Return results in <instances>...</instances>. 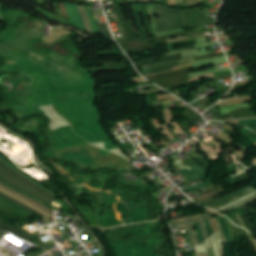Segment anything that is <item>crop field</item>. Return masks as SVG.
Segmentation results:
<instances>
[{
	"instance_id": "obj_17",
	"label": "crop field",
	"mask_w": 256,
	"mask_h": 256,
	"mask_svg": "<svg viewBox=\"0 0 256 256\" xmlns=\"http://www.w3.org/2000/svg\"><path fill=\"white\" fill-rule=\"evenodd\" d=\"M254 200H256V195L252 196L251 198H249V199H247V200H245V201H243V202H241V203H238V204H236V205H234V206H231V207H229V208H227V209H225V210H223V211H224V212H228V211H230V210H232V209H234V208H237V207H239V206H241V205H244V204H246V203H250V202H252V201H254Z\"/></svg>"
},
{
	"instance_id": "obj_31",
	"label": "crop field",
	"mask_w": 256,
	"mask_h": 256,
	"mask_svg": "<svg viewBox=\"0 0 256 256\" xmlns=\"http://www.w3.org/2000/svg\"><path fill=\"white\" fill-rule=\"evenodd\" d=\"M231 73H232L231 71H224V72H218L215 74H216V76H222V75L231 74Z\"/></svg>"
},
{
	"instance_id": "obj_3",
	"label": "crop field",
	"mask_w": 256,
	"mask_h": 256,
	"mask_svg": "<svg viewBox=\"0 0 256 256\" xmlns=\"http://www.w3.org/2000/svg\"><path fill=\"white\" fill-rule=\"evenodd\" d=\"M0 208L13 214L14 216L18 217V218H22L27 220L25 217H32L33 215L27 213L26 211H24L23 209H21L20 207L10 203L9 201L3 199L2 197H0ZM35 217V216H34ZM29 221V220H27ZM30 222V221H29Z\"/></svg>"
},
{
	"instance_id": "obj_24",
	"label": "crop field",
	"mask_w": 256,
	"mask_h": 256,
	"mask_svg": "<svg viewBox=\"0 0 256 256\" xmlns=\"http://www.w3.org/2000/svg\"><path fill=\"white\" fill-rule=\"evenodd\" d=\"M171 70H172V68H168V69L158 70V71L142 72V74H143V75H147V74H154V73L167 72V71H171Z\"/></svg>"
},
{
	"instance_id": "obj_19",
	"label": "crop field",
	"mask_w": 256,
	"mask_h": 256,
	"mask_svg": "<svg viewBox=\"0 0 256 256\" xmlns=\"http://www.w3.org/2000/svg\"><path fill=\"white\" fill-rule=\"evenodd\" d=\"M99 27V31L104 34L105 36L109 37V38H112L111 34H110V31L108 29V26L107 24L105 25H98Z\"/></svg>"
},
{
	"instance_id": "obj_2",
	"label": "crop field",
	"mask_w": 256,
	"mask_h": 256,
	"mask_svg": "<svg viewBox=\"0 0 256 256\" xmlns=\"http://www.w3.org/2000/svg\"><path fill=\"white\" fill-rule=\"evenodd\" d=\"M0 176L7 180L9 183H11L12 185L19 187L23 190H26L32 194H34L35 196L49 202L52 204V199L50 196L46 195L45 193L17 180L15 177H13L10 173H8L6 170H4L2 167H0ZM25 191V192H26Z\"/></svg>"
},
{
	"instance_id": "obj_16",
	"label": "crop field",
	"mask_w": 256,
	"mask_h": 256,
	"mask_svg": "<svg viewBox=\"0 0 256 256\" xmlns=\"http://www.w3.org/2000/svg\"><path fill=\"white\" fill-rule=\"evenodd\" d=\"M84 8H85L86 13H87V15H88V17H89V19H90V21H91L92 28H93V32H94V33H99V32H98V29H97V26H96V22H95V20H94V18H93V16H92V14H91V12H90L88 6H84Z\"/></svg>"
},
{
	"instance_id": "obj_30",
	"label": "crop field",
	"mask_w": 256,
	"mask_h": 256,
	"mask_svg": "<svg viewBox=\"0 0 256 256\" xmlns=\"http://www.w3.org/2000/svg\"><path fill=\"white\" fill-rule=\"evenodd\" d=\"M216 220H217V224H218L219 230H220V232H221L222 238H223V240H224V243L227 244V243H226V240H225V237H224V234H223V231H222V228H221V225H220V223H219V220H218V219H216Z\"/></svg>"
},
{
	"instance_id": "obj_21",
	"label": "crop field",
	"mask_w": 256,
	"mask_h": 256,
	"mask_svg": "<svg viewBox=\"0 0 256 256\" xmlns=\"http://www.w3.org/2000/svg\"><path fill=\"white\" fill-rule=\"evenodd\" d=\"M0 160H2L4 163H6L3 159H1L0 158ZM7 164V163H6ZM8 166H10L9 164H7ZM11 167V166H10ZM12 168V167H11ZM14 171H16L18 174H20V175H22V176H24L22 173H20L18 170H16V169H14V168H12ZM25 178H27L26 176H24ZM28 180H30L29 178H27ZM31 182H33L32 180H30ZM35 185H37L38 187H40L41 189H43L44 191H46L43 187H41L40 185H38V184H36L35 182H33ZM46 192H48V191H46ZM48 193H50V192H48ZM50 194H52V193H50ZM52 195H54V194H52ZM55 196V195H54Z\"/></svg>"
},
{
	"instance_id": "obj_32",
	"label": "crop field",
	"mask_w": 256,
	"mask_h": 256,
	"mask_svg": "<svg viewBox=\"0 0 256 256\" xmlns=\"http://www.w3.org/2000/svg\"><path fill=\"white\" fill-rule=\"evenodd\" d=\"M234 73H240V72H247L249 71L248 68H244V69H238V70H233Z\"/></svg>"
},
{
	"instance_id": "obj_11",
	"label": "crop field",
	"mask_w": 256,
	"mask_h": 256,
	"mask_svg": "<svg viewBox=\"0 0 256 256\" xmlns=\"http://www.w3.org/2000/svg\"><path fill=\"white\" fill-rule=\"evenodd\" d=\"M187 166L191 167L196 172L201 171V173H198V174H200L203 178L206 177L208 172L207 169L204 168L202 165L198 164L197 162L194 161Z\"/></svg>"
},
{
	"instance_id": "obj_6",
	"label": "crop field",
	"mask_w": 256,
	"mask_h": 256,
	"mask_svg": "<svg viewBox=\"0 0 256 256\" xmlns=\"http://www.w3.org/2000/svg\"><path fill=\"white\" fill-rule=\"evenodd\" d=\"M0 196L4 197L5 199L11 201L12 203H14V204H16V205H18V206H20L21 208H23V209H25V210H27V211L33 213L34 215H36L37 217H39V218H41V219L46 218V217L43 216L42 214H40V213H38V212L32 210L31 208H29V207H27V206H25V205H23V204H21V203L15 201V200L11 199V198H9V197H7V196L1 194V193H0Z\"/></svg>"
},
{
	"instance_id": "obj_35",
	"label": "crop field",
	"mask_w": 256,
	"mask_h": 256,
	"mask_svg": "<svg viewBox=\"0 0 256 256\" xmlns=\"http://www.w3.org/2000/svg\"><path fill=\"white\" fill-rule=\"evenodd\" d=\"M252 141H256V139H251Z\"/></svg>"
},
{
	"instance_id": "obj_34",
	"label": "crop field",
	"mask_w": 256,
	"mask_h": 256,
	"mask_svg": "<svg viewBox=\"0 0 256 256\" xmlns=\"http://www.w3.org/2000/svg\"><path fill=\"white\" fill-rule=\"evenodd\" d=\"M208 253H209V256H214L213 255V250L208 251Z\"/></svg>"
},
{
	"instance_id": "obj_8",
	"label": "crop field",
	"mask_w": 256,
	"mask_h": 256,
	"mask_svg": "<svg viewBox=\"0 0 256 256\" xmlns=\"http://www.w3.org/2000/svg\"><path fill=\"white\" fill-rule=\"evenodd\" d=\"M0 192H2V193H4V194H6V195H8V196H10V197H12V198L18 200V201H20V202H22V203H24L25 205H27V206L31 207L32 209H34V210H36V211H38V212H40V213L46 215L47 217L52 216V215H50L49 213H47V212H45V211H43V210H41V209H39V208H37V207H35V206H33V205L27 203V202H25V201H23V200L17 198L16 196H14V195H12V194L6 192V191L3 190L2 188H0Z\"/></svg>"
},
{
	"instance_id": "obj_12",
	"label": "crop field",
	"mask_w": 256,
	"mask_h": 256,
	"mask_svg": "<svg viewBox=\"0 0 256 256\" xmlns=\"http://www.w3.org/2000/svg\"><path fill=\"white\" fill-rule=\"evenodd\" d=\"M37 11L43 13V14L46 15L47 17H49V18H51V19H53V20H55V21H57V22H59V23L68 24V25H70V26H72V27H74V28L80 30V29L77 28L76 26H74V25H72V24H70V23H68V22H66V21H64V20H62V19H60V18H58V17H56V16H54V15H52V14H50V13L44 11V10H42V9H40V8H39ZM80 31H82V30H80Z\"/></svg>"
},
{
	"instance_id": "obj_1",
	"label": "crop field",
	"mask_w": 256,
	"mask_h": 256,
	"mask_svg": "<svg viewBox=\"0 0 256 256\" xmlns=\"http://www.w3.org/2000/svg\"><path fill=\"white\" fill-rule=\"evenodd\" d=\"M154 13L160 15V18L155 19L157 32L178 29L186 26L185 16L179 11L156 6Z\"/></svg>"
},
{
	"instance_id": "obj_25",
	"label": "crop field",
	"mask_w": 256,
	"mask_h": 256,
	"mask_svg": "<svg viewBox=\"0 0 256 256\" xmlns=\"http://www.w3.org/2000/svg\"><path fill=\"white\" fill-rule=\"evenodd\" d=\"M0 157L3 158L7 163H9L12 167L16 168L14 165H12L10 162H8L1 154H0ZM18 169V168H16ZM19 170V169H18ZM21 171V170H19ZM22 172V171H21ZM24 173V172H22ZM25 174V173H24ZM26 176H28L27 174H25ZM30 179H32L30 176H28ZM33 181H35L36 183L40 184L41 186H43L41 183L37 182L36 180L32 179ZM44 187V186H43ZM45 188V187H44ZM46 189V188H45ZM48 190V189H47ZM49 191V190H48ZM51 192V191H50Z\"/></svg>"
},
{
	"instance_id": "obj_9",
	"label": "crop field",
	"mask_w": 256,
	"mask_h": 256,
	"mask_svg": "<svg viewBox=\"0 0 256 256\" xmlns=\"http://www.w3.org/2000/svg\"><path fill=\"white\" fill-rule=\"evenodd\" d=\"M76 6H77V8H78V10L80 12V15H81L83 21H84V25H85L86 31L92 32L90 21H89L87 15L85 13V10H84L83 6H79V5H76Z\"/></svg>"
},
{
	"instance_id": "obj_5",
	"label": "crop field",
	"mask_w": 256,
	"mask_h": 256,
	"mask_svg": "<svg viewBox=\"0 0 256 256\" xmlns=\"http://www.w3.org/2000/svg\"><path fill=\"white\" fill-rule=\"evenodd\" d=\"M68 12L69 20L79 28L85 31L83 21L75 5L64 3Z\"/></svg>"
},
{
	"instance_id": "obj_29",
	"label": "crop field",
	"mask_w": 256,
	"mask_h": 256,
	"mask_svg": "<svg viewBox=\"0 0 256 256\" xmlns=\"http://www.w3.org/2000/svg\"><path fill=\"white\" fill-rule=\"evenodd\" d=\"M200 226H201V229H202V233H203V236L204 238L207 237V232H206V229H205V225H204V222H200Z\"/></svg>"
},
{
	"instance_id": "obj_23",
	"label": "crop field",
	"mask_w": 256,
	"mask_h": 256,
	"mask_svg": "<svg viewBox=\"0 0 256 256\" xmlns=\"http://www.w3.org/2000/svg\"><path fill=\"white\" fill-rule=\"evenodd\" d=\"M195 227H196V231H197V234L199 236V241H200V245L202 244V242L204 241L203 237H202V234H201V231H200V227H199V224L198 222L195 223Z\"/></svg>"
},
{
	"instance_id": "obj_4",
	"label": "crop field",
	"mask_w": 256,
	"mask_h": 256,
	"mask_svg": "<svg viewBox=\"0 0 256 256\" xmlns=\"http://www.w3.org/2000/svg\"><path fill=\"white\" fill-rule=\"evenodd\" d=\"M211 218H214V217L212 215H210V216H206V217H202V218H198V219H194V220L174 224L172 226H173L174 230L189 227L190 234H191L192 240H193V244L197 245L199 243H198V239H197V235H196V232H195V229H194L193 222L206 220V219H211Z\"/></svg>"
},
{
	"instance_id": "obj_20",
	"label": "crop field",
	"mask_w": 256,
	"mask_h": 256,
	"mask_svg": "<svg viewBox=\"0 0 256 256\" xmlns=\"http://www.w3.org/2000/svg\"><path fill=\"white\" fill-rule=\"evenodd\" d=\"M213 180L210 181V182H207V183H203V184H200L198 186H194V187H191V188H188V189H184L183 192L186 193V192H189V191H193V190H196V189H199V188H202V187H205L207 185H210V184H213Z\"/></svg>"
},
{
	"instance_id": "obj_33",
	"label": "crop field",
	"mask_w": 256,
	"mask_h": 256,
	"mask_svg": "<svg viewBox=\"0 0 256 256\" xmlns=\"http://www.w3.org/2000/svg\"><path fill=\"white\" fill-rule=\"evenodd\" d=\"M224 218H225V220H226V222H227V224H228V226H229V229H230V232H231L232 236L235 237L234 234H233V231H232V229H231V227H230V225H229V223H228L227 217H224ZM234 241H235V240H234Z\"/></svg>"
},
{
	"instance_id": "obj_18",
	"label": "crop field",
	"mask_w": 256,
	"mask_h": 256,
	"mask_svg": "<svg viewBox=\"0 0 256 256\" xmlns=\"http://www.w3.org/2000/svg\"><path fill=\"white\" fill-rule=\"evenodd\" d=\"M207 215H210V214H207ZM202 216H206V215L198 214V215H194V216H190V217H185V218H180V219L172 220V221H169V222L171 224H174V223H178L180 221H186V220H190V219H194V218H198V217H202Z\"/></svg>"
},
{
	"instance_id": "obj_14",
	"label": "crop field",
	"mask_w": 256,
	"mask_h": 256,
	"mask_svg": "<svg viewBox=\"0 0 256 256\" xmlns=\"http://www.w3.org/2000/svg\"><path fill=\"white\" fill-rule=\"evenodd\" d=\"M219 220H220V223H221V225H222V228H223L225 237H226V239H227V242H228V243L232 242L231 240H233V239H232V237H231V235H230V232H229V230H228V227H227V224H226L224 218L219 219Z\"/></svg>"
},
{
	"instance_id": "obj_26",
	"label": "crop field",
	"mask_w": 256,
	"mask_h": 256,
	"mask_svg": "<svg viewBox=\"0 0 256 256\" xmlns=\"http://www.w3.org/2000/svg\"><path fill=\"white\" fill-rule=\"evenodd\" d=\"M204 222H205V225H206V228H207L208 235H209V237H210L211 234L213 233V230H212L211 225H210V223H209L208 220H206V221H204Z\"/></svg>"
},
{
	"instance_id": "obj_13",
	"label": "crop field",
	"mask_w": 256,
	"mask_h": 256,
	"mask_svg": "<svg viewBox=\"0 0 256 256\" xmlns=\"http://www.w3.org/2000/svg\"><path fill=\"white\" fill-rule=\"evenodd\" d=\"M182 174H184L185 176H187L189 179H191L193 182L202 179L196 172H194L193 170H184L182 172H180Z\"/></svg>"
},
{
	"instance_id": "obj_22",
	"label": "crop field",
	"mask_w": 256,
	"mask_h": 256,
	"mask_svg": "<svg viewBox=\"0 0 256 256\" xmlns=\"http://www.w3.org/2000/svg\"><path fill=\"white\" fill-rule=\"evenodd\" d=\"M254 178H256V176H255V175H252V176H250V177H248V178H246V179H243V180H241V181H238V182H236V183L231 184V186H232V187L237 186V185H239V184H242V183L247 182V181H249V180H251V179H254Z\"/></svg>"
},
{
	"instance_id": "obj_27",
	"label": "crop field",
	"mask_w": 256,
	"mask_h": 256,
	"mask_svg": "<svg viewBox=\"0 0 256 256\" xmlns=\"http://www.w3.org/2000/svg\"><path fill=\"white\" fill-rule=\"evenodd\" d=\"M256 190H254V191H251V192H249V193H247V194H245V195H243V196H241V197H239V198H237V199H235V200H233V201H230V202H228V203H226V204H224V205H222V206H220V207H223V206H225V205H227V204H230V203H232V202H235V201H237V200H239V199H241V198H243V197H245V196H247V195H249V194H251V193H253V192H255ZM220 207H217V208H215V209H218V208H220Z\"/></svg>"
},
{
	"instance_id": "obj_7",
	"label": "crop field",
	"mask_w": 256,
	"mask_h": 256,
	"mask_svg": "<svg viewBox=\"0 0 256 256\" xmlns=\"http://www.w3.org/2000/svg\"><path fill=\"white\" fill-rule=\"evenodd\" d=\"M0 166H2L4 169H6L8 172H10V173H11L12 175H14L16 178H18V179H20V180H22V181H24V182H26V183H28V184H30V185L36 187V188H38L37 186H35L33 183H31L30 181H28V180L25 179L24 177L18 175L16 172H14L11 168H9L6 164H4V163L1 162V161H0ZM38 189L41 190L40 188H38ZM41 191H43V190H41ZM43 192H44V191H43ZM45 193H46V192H45ZM46 194H48V193H46ZM48 195H50V194H48ZM50 196H52V195H50ZM52 197H54V196H52Z\"/></svg>"
},
{
	"instance_id": "obj_28",
	"label": "crop field",
	"mask_w": 256,
	"mask_h": 256,
	"mask_svg": "<svg viewBox=\"0 0 256 256\" xmlns=\"http://www.w3.org/2000/svg\"><path fill=\"white\" fill-rule=\"evenodd\" d=\"M194 57H195V56L189 57V58H185V59L176 60V61H172V62H168V63L156 64V65H152V66H148V67H153V66H158V65H164V64H170V63H174V62H178V61H182V60H186V59H190V58H194ZM144 68H147V67H144Z\"/></svg>"
},
{
	"instance_id": "obj_10",
	"label": "crop field",
	"mask_w": 256,
	"mask_h": 256,
	"mask_svg": "<svg viewBox=\"0 0 256 256\" xmlns=\"http://www.w3.org/2000/svg\"><path fill=\"white\" fill-rule=\"evenodd\" d=\"M0 230H11L12 232H14L15 234H17L20 237L23 238H27L30 239L31 237H29L28 235H26L25 233H22L12 227H10L9 225L5 224L3 221L0 220Z\"/></svg>"
},
{
	"instance_id": "obj_15",
	"label": "crop field",
	"mask_w": 256,
	"mask_h": 256,
	"mask_svg": "<svg viewBox=\"0 0 256 256\" xmlns=\"http://www.w3.org/2000/svg\"><path fill=\"white\" fill-rule=\"evenodd\" d=\"M239 123L256 131V119L240 120Z\"/></svg>"
}]
</instances>
